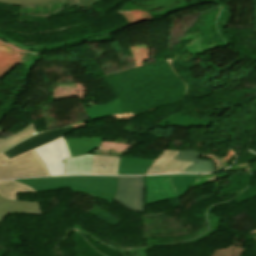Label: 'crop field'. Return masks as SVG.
Masks as SVG:
<instances>
[{"label": "crop field", "instance_id": "crop-field-1", "mask_svg": "<svg viewBox=\"0 0 256 256\" xmlns=\"http://www.w3.org/2000/svg\"><path fill=\"white\" fill-rule=\"evenodd\" d=\"M117 178L105 176H71L15 181L24 183L37 192L70 187L75 191L91 194L111 203L117 188Z\"/></svg>", "mask_w": 256, "mask_h": 256}, {"label": "crop field", "instance_id": "crop-field-16", "mask_svg": "<svg viewBox=\"0 0 256 256\" xmlns=\"http://www.w3.org/2000/svg\"><path fill=\"white\" fill-rule=\"evenodd\" d=\"M38 133L34 123L27 126L25 129L22 131L18 132L17 134L5 139V138H0V152L12 147V145Z\"/></svg>", "mask_w": 256, "mask_h": 256}, {"label": "crop field", "instance_id": "crop-field-4", "mask_svg": "<svg viewBox=\"0 0 256 256\" xmlns=\"http://www.w3.org/2000/svg\"><path fill=\"white\" fill-rule=\"evenodd\" d=\"M33 150L45 162L50 175H64V158L71 157L64 137Z\"/></svg>", "mask_w": 256, "mask_h": 256}, {"label": "crop field", "instance_id": "crop-field-22", "mask_svg": "<svg viewBox=\"0 0 256 256\" xmlns=\"http://www.w3.org/2000/svg\"><path fill=\"white\" fill-rule=\"evenodd\" d=\"M251 239H253L254 241H256V235L253 236H249Z\"/></svg>", "mask_w": 256, "mask_h": 256}, {"label": "crop field", "instance_id": "crop-field-17", "mask_svg": "<svg viewBox=\"0 0 256 256\" xmlns=\"http://www.w3.org/2000/svg\"><path fill=\"white\" fill-rule=\"evenodd\" d=\"M179 197L185 195L199 175H170Z\"/></svg>", "mask_w": 256, "mask_h": 256}, {"label": "crop field", "instance_id": "crop-field-24", "mask_svg": "<svg viewBox=\"0 0 256 256\" xmlns=\"http://www.w3.org/2000/svg\"><path fill=\"white\" fill-rule=\"evenodd\" d=\"M4 131H6V130L0 127V133H2Z\"/></svg>", "mask_w": 256, "mask_h": 256}, {"label": "crop field", "instance_id": "crop-field-15", "mask_svg": "<svg viewBox=\"0 0 256 256\" xmlns=\"http://www.w3.org/2000/svg\"><path fill=\"white\" fill-rule=\"evenodd\" d=\"M22 192H34L31 188L12 181H0V195L4 199L17 200L16 194Z\"/></svg>", "mask_w": 256, "mask_h": 256}, {"label": "crop field", "instance_id": "crop-field-5", "mask_svg": "<svg viewBox=\"0 0 256 256\" xmlns=\"http://www.w3.org/2000/svg\"><path fill=\"white\" fill-rule=\"evenodd\" d=\"M178 197L170 176H145V204Z\"/></svg>", "mask_w": 256, "mask_h": 256}, {"label": "crop field", "instance_id": "crop-field-6", "mask_svg": "<svg viewBox=\"0 0 256 256\" xmlns=\"http://www.w3.org/2000/svg\"><path fill=\"white\" fill-rule=\"evenodd\" d=\"M72 130H74L73 126H69V127L54 130V131L44 132V133H41L33 138H29V139L25 140L24 142L8 149L7 151H5L3 153L10 159L14 156H17L23 152H26L28 150L35 148V147H38L40 145L51 142L65 134L69 133Z\"/></svg>", "mask_w": 256, "mask_h": 256}, {"label": "crop field", "instance_id": "crop-field-18", "mask_svg": "<svg viewBox=\"0 0 256 256\" xmlns=\"http://www.w3.org/2000/svg\"><path fill=\"white\" fill-rule=\"evenodd\" d=\"M244 249L240 247H228L214 250L210 256H240Z\"/></svg>", "mask_w": 256, "mask_h": 256}, {"label": "crop field", "instance_id": "crop-field-9", "mask_svg": "<svg viewBox=\"0 0 256 256\" xmlns=\"http://www.w3.org/2000/svg\"><path fill=\"white\" fill-rule=\"evenodd\" d=\"M153 162L149 159L121 157L117 175L145 174Z\"/></svg>", "mask_w": 256, "mask_h": 256}, {"label": "crop field", "instance_id": "crop-field-13", "mask_svg": "<svg viewBox=\"0 0 256 256\" xmlns=\"http://www.w3.org/2000/svg\"><path fill=\"white\" fill-rule=\"evenodd\" d=\"M93 155L87 154L66 160V175L91 174Z\"/></svg>", "mask_w": 256, "mask_h": 256}, {"label": "crop field", "instance_id": "crop-field-21", "mask_svg": "<svg viewBox=\"0 0 256 256\" xmlns=\"http://www.w3.org/2000/svg\"><path fill=\"white\" fill-rule=\"evenodd\" d=\"M58 2H60L63 6L67 4V2L69 0H57Z\"/></svg>", "mask_w": 256, "mask_h": 256}, {"label": "crop field", "instance_id": "crop-field-19", "mask_svg": "<svg viewBox=\"0 0 256 256\" xmlns=\"http://www.w3.org/2000/svg\"><path fill=\"white\" fill-rule=\"evenodd\" d=\"M100 1H102V0H71L70 3L64 8V10L69 8V7H72L74 5H76L79 9L82 6L88 8V7L98 3Z\"/></svg>", "mask_w": 256, "mask_h": 256}, {"label": "crop field", "instance_id": "crop-field-8", "mask_svg": "<svg viewBox=\"0 0 256 256\" xmlns=\"http://www.w3.org/2000/svg\"><path fill=\"white\" fill-rule=\"evenodd\" d=\"M10 213L42 214L38 201L4 200L0 196V221Z\"/></svg>", "mask_w": 256, "mask_h": 256}, {"label": "crop field", "instance_id": "crop-field-2", "mask_svg": "<svg viewBox=\"0 0 256 256\" xmlns=\"http://www.w3.org/2000/svg\"><path fill=\"white\" fill-rule=\"evenodd\" d=\"M5 163V165H2ZM49 175L44 162L33 151L23 153L9 160L0 154V179L35 177Z\"/></svg>", "mask_w": 256, "mask_h": 256}, {"label": "crop field", "instance_id": "crop-field-3", "mask_svg": "<svg viewBox=\"0 0 256 256\" xmlns=\"http://www.w3.org/2000/svg\"><path fill=\"white\" fill-rule=\"evenodd\" d=\"M114 200L130 210L144 212V176L119 177Z\"/></svg>", "mask_w": 256, "mask_h": 256}, {"label": "crop field", "instance_id": "crop-field-20", "mask_svg": "<svg viewBox=\"0 0 256 256\" xmlns=\"http://www.w3.org/2000/svg\"><path fill=\"white\" fill-rule=\"evenodd\" d=\"M50 0H0V2L9 3V4H19V5H31L40 2H45Z\"/></svg>", "mask_w": 256, "mask_h": 256}, {"label": "crop field", "instance_id": "crop-field-10", "mask_svg": "<svg viewBox=\"0 0 256 256\" xmlns=\"http://www.w3.org/2000/svg\"><path fill=\"white\" fill-rule=\"evenodd\" d=\"M200 153L189 152V151H180L177 156L174 158L176 160H184L195 162L191 166L187 167L181 173H204L215 171L212 161L197 160Z\"/></svg>", "mask_w": 256, "mask_h": 256}, {"label": "crop field", "instance_id": "crop-field-23", "mask_svg": "<svg viewBox=\"0 0 256 256\" xmlns=\"http://www.w3.org/2000/svg\"><path fill=\"white\" fill-rule=\"evenodd\" d=\"M252 234H256V229L254 231H252L251 233H249L248 235H252Z\"/></svg>", "mask_w": 256, "mask_h": 256}, {"label": "crop field", "instance_id": "crop-field-11", "mask_svg": "<svg viewBox=\"0 0 256 256\" xmlns=\"http://www.w3.org/2000/svg\"><path fill=\"white\" fill-rule=\"evenodd\" d=\"M103 138L101 137H83L66 139L71 156L86 154L99 147Z\"/></svg>", "mask_w": 256, "mask_h": 256}, {"label": "crop field", "instance_id": "crop-field-12", "mask_svg": "<svg viewBox=\"0 0 256 256\" xmlns=\"http://www.w3.org/2000/svg\"><path fill=\"white\" fill-rule=\"evenodd\" d=\"M119 161L120 157L94 155L92 174L116 175Z\"/></svg>", "mask_w": 256, "mask_h": 256}, {"label": "crop field", "instance_id": "crop-field-14", "mask_svg": "<svg viewBox=\"0 0 256 256\" xmlns=\"http://www.w3.org/2000/svg\"><path fill=\"white\" fill-rule=\"evenodd\" d=\"M89 120H93L100 117H105L113 114H124L119 100L116 99L109 103L100 106L84 108Z\"/></svg>", "mask_w": 256, "mask_h": 256}, {"label": "crop field", "instance_id": "crop-field-7", "mask_svg": "<svg viewBox=\"0 0 256 256\" xmlns=\"http://www.w3.org/2000/svg\"><path fill=\"white\" fill-rule=\"evenodd\" d=\"M178 152L175 150H165L146 174L179 172L192 164L191 162L172 160Z\"/></svg>", "mask_w": 256, "mask_h": 256}]
</instances>
